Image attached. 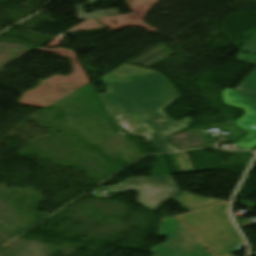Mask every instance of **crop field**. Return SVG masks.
<instances>
[{"label":"crop field","mask_w":256,"mask_h":256,"mask_svg":"<svg viewBox=\"0 0 256 256\" xmlns=\"http://www.w3.org/2000/svg\"><path fill=\"white\" fill-rule=\"evenodd\" d=\"M100 79L108 92L97 96L110 117L132 111L138 113L145 119L141 125L151 130L144 136L160 152L177 151L163 138L188 127L192 119L186 117L176 122L162 111L180 96L160 73L150 71L110 80L105 76Z\"/></svg>","instance_id":"obj_1"},{"label":"crop field","mask_w":256,"mask_h":256,"mask_svg":"<svg viewBox=\"0 0 256 256\" xmlns=\"http://www.w3.org/2000/svg\"><path fill=\"white\" fill-rule=\"evenodd\" d=\"M227 206L228 203L222 202L175 218L214 256H226L243 244L227 214Z\"/></svg>","instance_id":"obj_2"},{"label":"crop field","mask_w":256,"mask_h":256,"mask_svg":"<svg viewBox=\"0 0 256 256\" xmlns=\"http://www.w3.org/2000/svg\"><path fill=\"white\" fill-rule=\"evenodd\" d=\"M102 188L112 193L137 189L140 194L138 202L153 212L181 193L171 175L132 178L118 185Z\"/></svg>","instance_id":"obj_3"},{"label":"crop field","mask_w":256,"mask_h":256,"mask_svg":"<svg viewBox=\"0 0 256 256\" xmlns=\"http://www.w3.org/2000/svg\"><path fill=\"white\" fill-rule=\"evenodd\" d=\"M158 235L167 242L152 249L156 256H211L173 217L162 219Z\"/></svg>","instance_id":"obj_4"},{"label":"crop field","mask_w":256,"mask_h":256,"mask_svg":"<svg viewBox=\"0 0 256 256\" xmlns=\"http://www.w3.org/2000/svg\"><path fill=\"white\" fill-rule=\"evenodd\" d=\"M223 92L229 94V105L240 107L245 110L246 114L236 121L237 125L250 133L248 137L239 143L249 145L244 150H249L256 146V129L252 128L256 125V95L249 94L244 91H238L226 88Z\"/></svg>","instance_id":"obj_5"},{"label":"crop field","mask_w":256,"mask_h":256,"mask_svg":"<svg viewBox=\"0 0 256 256\" xmlns=\"http://www.w3.org/2000/svg\"><path fill=\"white\" fill-rule=\"evenodd\" d=\"M243 50L251 53L245 55L242 53ZM253 53L256 54V36L238 50L235 60L256 65V55L252 56ZM252 62H255V64ZM236 89L247 90L250 93L256 92V69Z\"/></svg>","instance_id":"obj_6"},{"label":"crop field","mask_w":256,"mask_h":256,"mask_svg":"<svg viewBox=\"0 0 256 256\" xmlns=\"http://www.w3.org/2000/svg\"><path fill=\"white\" fill-rule=\"evenodd\" d=\"M112 119L115 120L121 126H123L133 135L143 136L142 134L150 131L147 128L140 125V123L144 119L134 112L112 117Z\"/></svg>","instance_id":"obj_7"},{"label":"crop field","mask_w":256,"mask_h":256,"mask_svg":"<svg viewBox=\"0 0 256 256\" xmlns=\"http://www.w3.org/2000/svg\"><path fill=\"white\" fill-rule=\"evenodd\" d=\"M173 199L176 200L178 203H180L189 211L206 206V205L222 202L220 200L197 196L187 192H183Z\"/></svg>","instance_id":"obj_8"},{"label":"crop field","mask_w":256,"mask_h":256,"mask_svg":"<svg viewBox=\"0 0 256 256\" xmlns=\"http://www.w3.org/2000/svg\"><path fill=\"white\" fill-rule=\"evenodd\" d=\"M87 5H94V0H87V3L77 5L78 18L82 20L97 18L100 11V18L119 15L117 10L102 9L95 12L85 13V7Z\"/></svg>","instance_id":"obj_9"},{"label":"crop field","mask_w":256,"mask_h":256,"mask_svg":"<svg viewBox=\"0 0 256 256\" xmlns=\"http://www.w3.org/2000/svg\"><path fill=\"white\" fill-rule=\"evenodd\" d=\"M145 71H150V70L124 64L105 76L107 77V79H110V78H115V77H120V76H125V75L145 72Z\"/></svg>","instance_id":"obj_10"},{"label":"crop field","mask_w":256,"mask_h":256,"mask_svg":"<svg viewBox=\"0 0 256 256\" xmlns=\"http://www.w3.org/2000/svg\"><path fill=\"white\" fill-rule=\"evenodd\" d=\"M177 154L180 155L185 167H186V170L187 172H194L193 169L190 168V165H189V161L188 159L185 157V153L184 152H180V153H172V154H169L172 161H173V164L175 166V170L177 173H185L181 168L180 164H178V161H177Z\"/></svg>","instance_id":"obj_11"},{"label":"crop field","mask_w":256,"mask_h":256,"mask_svg":"<svg viewBox=\"0 0 256 256\" xmlns=\"http://www.w3.org/2000/svg\"><path fill=\"white\" fill-rule=\"evenodd\" d=\"M155 157L157 159V163L153 164L154 169L150 170L151 175L170 174L168 169H167V166L164 162V159H163L162 155L161 154L155 155Z\"/></svg>","instance_id":"obj_12"},{"label":"crop field","mask_w":256,"mask_h":256,"mask_svg":"<svg viewBox=\"0 0 256 256\" xmlns=\"http://www.w3.org/2000/svg\"><path fill=\"white\" fill-rule=\"evenodd\" d=\"M224 94V98H225V102H226V104L228 103V101H227V94H225V93H223Z\"/></svg>","instance_id":"obj_13"},{"label":"crop field","mask_w":256,"mask_h":256,"mask_svg":"<svg viewBox=\"0 0 256 256\" xmlns=\"http://www.w3.org/2000/svg\"><path fill=\"white\" fill-rule=\"evenodd\" d=\"M99 0H95V3L98 2Z\"/></svg>","instance_id":"obj_14"},{"label":"crop field","mask_w":256,"mask_h":256,"mask_svg":"<svg viewBox=\"0 0 256 256\" xmlns=\"http://www.w3.org/2000/svg\"><path fill=\"white\" fill-rule=\"evenodd\" d=\"M230 256H233V255H230Z\"/></svg>","instance_id":"obj_15"}]
</instances>
